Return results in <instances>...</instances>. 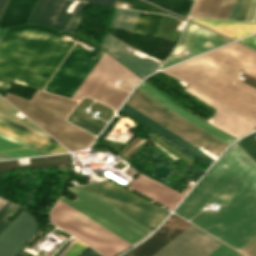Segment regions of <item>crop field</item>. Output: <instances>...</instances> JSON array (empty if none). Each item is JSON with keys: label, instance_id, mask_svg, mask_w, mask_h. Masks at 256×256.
Listing matches in <instances>:
<instances>
[{"label": "crop field", "instance_id": "8a807250", "mask_svg": "<svg viewBox=\"0 0 256 256\" xmlns=\"http://www.w3.org/2000/svg\"><path fill=\"white\" fill-rule=\"evenodd\" d=\"M208 201L223 206L219 212L203 211L191 223L237 250L256 236V162L237 143L204 175L175 213L190 219Z\"/></svg>", "mask_w": 256, "mask_h": 256}, {"label": "crop field", "instance_id": "ac0d7876", "mask_svg": "<svg viewBox=\"0 0 256 256\" xmlns=\"http://www.w3.org/2000/svg\"><path fill=\"white\" fill-rule=\"evenodd\" d=\"M240 68L256 77V52L232 43L162 72L189 82L185 91L216 109L214 124L241 137L256 125V95L228 83ZM235 84L256 94L238 80Z\"/></svg>", "mask_w": 256, "mask_h": 256}, {"label": "crop field", "instance_id": "34b2d1b8", "mask_svg": "<svg viewBox=\"0 0 256 256\" xmlns=\"http://www.w3.org/2000/svg\"><path fill=\"white\" fill-rule=\"evenodd\" d=\"M61 34L78 40L38 25L9 29L0 40V94L5 96L12 81L42 90L73 44Z\"/></svg>", "mask_w": 256, "mask_h": 256}, {"label": "crop field", "instance_id": "412701ff", "mask_svg": "<svg viewBox=\"0 0 256 256\" xmlns=\"http://www.w3.org/2000/svg\"><path fill=\"white\" fill-rule=\"evenodd\" d=\"M5 98L71 151L86 148L95 138L65 120L75 100L38 90L30 101L8 93Z\"/></svg>", "mask_w": 256, "mask_h": 256}, {"label": "crop field", "instance_id": "f4fd0767", "mask_svg": "<svg viewBox=\"0 0 256 256\" xmlns=\"http://www.w3.org/2000/svg\"><path fill=\"white\" fill-rule=\"evenodd\" d=\"M68 189L72 191L77 198L70 201L61 196L59 199L131 244L134 245L138 243L152 231L85 188L74 186Z\"/></svg>", "mask_w": 256, "mask_h": 256}, {"label": "crop field", "instance_id": "dd49c442", "mask_svg": "<svg viewBox=\"0 0 256 256\" xmlns=\"http://www.w3.org/2000/svg\"><path fill=\"white\" fill-rule=\"evenodd\" d=\"M50 219L105 256H115L133 246L118 238L80 212L58 199L50 210Z\"/></svg>", "mask_w": 256, "mask_h": 256}, {"label": "crop field", "instance_id": "e52e79f7", "mask_svg": "<svg viewBox=\"0 0 256 256\" xmlns=\"http://www.w3.org/2000/svg\"><path fill=\"white\" fill-rule=\"evenodd\" d=\"M125 103L166 127L194 146H204L207 150L217 156L226 146L223 142L167 110L137 88Z\"/></svg>", "mask_w": 256, "mask_h": 256}, {"label": "crop field", "instance_id": "d8731c3e", "mask_svg": "<svg viewBox=\"0 0 256 256\" xmlns=\"http://www.w3.org/2000/svg\"><path fill=\"white\" fill-rule=\"evenodd\" d=\"M78 41H83L95 49L89 52L79 44L74 45L46 86V91L71 98L88 73L103 55L104 52L91 43L83 39H79Z\"/></svg>", "mask_w": 256, "mask_h": 256}, {"label": "crop field", "instance_id": "5a996713", "mask_svg": "<svg viewBox=\"0 0 256 256\" xmlns=\"http://www.w3.org/2000/svg\"><path fill=\"white\" fill-rule=\"evenodd\" d=\"M85 188L152 230L169 214L107 180Z\"/></svg>", "mask_w": 256, "mask_h": 256}, {"label": "crop field", "instance_id": "3316defc", "mask_svg": "<svg viewBox=\"0 0 256 256\" xmlns=\"http://www.w3.org/2000/svg\"><path fill=\"white\" fill-rule=\"evenodd\" d=\"M45 0H38L27 23H34ZM71 4L70 0H53ZM46 0L35 23L45 24L73 33L88 4L80 2L72 14L65 13L68 4Z\"/></svg>", "mask_w": 256, "mask_h": 256}, {"label": "crop field", "instance_id": "28ad6ade", "mask_svg": "<svg viewBox=\"0 0 256 256\" xmlns=\"http://www.w3.org/2000/svg\"><path fill=\"white\" fill-rule=\"evenodd\" d=\"M221 243L191 225L153 256H205Z\"/></svg>", "mask_w": 256, "mask_h": 256}, {"label": "crop field", "instance_id": "d1516ede", "mask_svg": "<svg viewBox=\"0 0 256 256\" xmlns=\"http://www.w3.org/2000/svg\"><path fill=\"white\" fill-rule=\"evenodd\" d=\"M116 79L122 80L118 85L119 87L129 91H131L136 83L141 80L134 73L116 61L95 93L92 95V98L113 107L115 110L129 93L116 88L115 85L112 84Z\"/></svg>", "mask_w": 256, "mask_h": 256}, {"label": "crop field", "instance_id": "22f410ed", "mask_svg": "<svg viewBox=\"0 0 256 256\" xmlns=\"http://www.w3.org/2000/svg\"><path fill=\"white\" fill-rule=\"evenodd\" d=\"M227 42L230 41L188 22L180 42L170 56L177 55L183 50H188L190 54L182 58L168 59L160 69Z\"/></svg>", "mask_w": 256, "mask_h": 256}, {"label": "crop field", "instance_id": "cbeb9de0", "mask_svg": "<svg viewBox=\"0 0 256 256\" xmlns=\"http://www.w3.org/2000/svg\"><path fill=\"white\" fill-rule=\"evenodd\" d=\"M36 232L33 215L22 211L0 233V256H13Z\"/></svg>", "mask_w": 256, "mask_h": 256}, {"label": "crop field", "instance_id": "5142ce71", "mask_svg": "<svg viewBox=\"0 0 256 256\" xmlns=\"http://www.w3.org/2000/svg\"><path fill=\"white\" fill-rule=\"evenodd\" d=\"M190 225L187 221L171 215L151 237L124 256H152Z\"/></svg>", "mask_w": 256, "mask_h": 256}, {"label": "crop field", "instance_id": "d9b57169", "mask_svg": "<svg viewBox=\"0 0 256 256\" xmlns=\"http://www.w3.org/2000/svg\"><path fill=\"white\" fill-rule=\"evenodd\" d=\"M128 188L171 210L184 196L142 174L139 175Z\"/></svg>", "mask_w": 256, "mask_h": 256}, {"label": "crop field", "instance_id": "733c2abd", "mask_svg": "<svg viewBox=\"0 0 256 256\" xmlns=\"http://www.w3.org/2000/svg\"><path fill=\"white\" fill-rule=\"evenodd\" d=\"M127 45L128 44L107 33L101 47L106 49L143 78L158 68V63L147 58L139 59L138 57L124 50L123 48Z\"/></svg>", "mask_w": 256, "mask_h": 256}, {"label": "crop field", "instance_id": "4a817a6b", "mask_svg": "<svg viewBox=\"0 0 256 256\" xmlns=\"http://www.w3.org/2000/svg\"><path fill=\"white\" fill-rule=\"evenodd\" d=\"M140 90H142L144 93L152 97L154 100L162 104L167 109L171 110L172 112L176 113L177 115L181 116L182 118L186 119L187 121L191 122L192 124L198 126L199 128L203 129L204 131L208 132L209 134L213 135L214 137L218 138L219 140L230 143L232 138L228 137L227 135L221 133L220 131L214 129L213 127L209 126L208 124L202 122L201 120L195 118L188 112L184 111L168 99H166L164 96L156 92L154 89H152L148 84H146L144 81L137 87Z\"/></svg>", "mask_w": 256, "mask_h": 256}, {"label": "crop field", "instance_id": "bc2a9ffb", "mask_svg": "<svg viewBox=\"0 0 256 256\" xmlns=\"http://www.w3.org/2000/svg\"><path fill=\"white\" fill-rule=\"evenodd\" d=\"M121 110L125 111L129 115L133 116L137 120L141 121L145 125L149 126L150 128H152L156 132L160 133L161 135H163L164 137H166L170 141L174 142L178 146L182 147L183 149L187 150L188 152L192 153L193 155L197 156L198 158L202 159L203 161L207 162L208 164L211 165L212 162L214 161L211 158H209L207 155L202 153L198 148H196V147L192 146L191 144L187 143L183 139L179 138L175 134L171 133L167 129L163 128L162 126H160L156 122L152 121L148 117L144 116L140 112L136 111L132 107L128 106L127 104H124Z\"/></svg>", "mask_w": 256, "mask_h": 256}, {"label": "crop field", "instance_id": "214f88e0", "mask_svg": "<svg viewBox=\"0 0 256 256\" xmlns=\"http://www.w3.org/2000/svg\"><path fill=\"white\" fill-rule=\"evenodd\" d=\"M116 60L104 53L89 76L78 89L73 99L79 100L84 96H90L94 93L98 85L101 83L105 75L108 73Z\"/></svg>", "mask_w": 256, "mask_h": 256}, {"label": "crop field", "instance_id": "92a150f3", "mask_svg": "<svg viewBox=\"0 0 256 256\" xmlns=\"http://www.w3.org/2000/svg\"><path fill=\"white\" fill-rule=\"evenodd\" d=\"M192 20H195L205 26H208L234 39L256 32V23L240 22V21L209 20V19H199V18H192Z\"/></svg>", "mask_w": 256, "mask_h": 256}, {"label": "crop field", "instance_id": "dafd665d", "mask_svg": "<svg viewBox=\"0 0 256 256\" xmlns=\"http://www.w3.org/2000/svg\"><path fill=\"white\" fill-rule=\"evenodd\" d=\"M36 0H9L1 18L0 27L25 23Z\"/></svg>", "mask_w": 256, "mask_h": 256}, {"label": "crop field", "instance_id": "00972430", "mask_svg": "<svg viewBox=\"0 0 256 256\" xmlns=\"http://www.w3.org/2000/svg\"><path fill=\"white\" fill-rule=\"evenodd\" d=\"M0 132L52 153L66 152L61 146L0 122Z\"/></svg>", "mask_w": 256, "mask_h": 256}, {"label": "crop field", "instance_id": "a9b5d70f", "mask_svg": "<svg viewBox=\"0 0 256 256\" xmlns=\"http://www.w3.org/2000/svg\"><path fill=\"white\" fill-rule=\"evenodd\" d=\"M17 160L10 161H0V171L16 170L26 167H44L52 165H69L70 159L68 154L63 155H53V156H43L30 158V162L33 165H22L18 166Z\"/></svg>", "mask_w": 256, "mask_h": 256}, {"label": "crop field", "instance_id": "4177f3b9", "mask_svg": "<svg viewBox=\"0 0 256 256\" xmlns=\"http://www.w3.org/2000/svg\"><path fill=\"white\" fill-rule=\"evenodd\" d=\"M162 17L141 12L132 32L154 37Z\"/></svg>", "mask_w": 256, "mask_h": 256}, {"label": "crop field", "instance_id": "730fd06b", "mask_svg": "<svg viewBox=\"0 0 256 256\" xmlns=\"http://www.w3.org/2000/svg\"><path fill=\"white\" fill-rule=\"evenodd\" d=\"M223 0H196L190 16L216 18Z\"/></svg>", "mask_w": 256, "mask_h": 256}, {"label": "crop field", "instance_id": "eef30255", "mask_svg": "<svg viewBox=\"0 0 256 256\" xmlns=\"http://www.w3.org/2000/svg\"><path fill=\"white\" fill-rule=\"evenodd\" d=\"M139 13L117 8L110 27L131 32Z\"/></svg>", "mask_w": 256, "mask_h": 256}, {"label": "crop field", "instance_id": "ae1a2a85", "mask_svg": "<svg viewBox=\"0 0 256 256\" xmlns=\"http://www.w3.org/2000/svg\"><path fill=\"white\" fill-rule=\"evenodd\" d=\"M175 13L188 16L193 0H148Z\"/></svg>", "mask_w": 256, "mask_h": 256}, {"label": "crop field", "instance_id": "d3111659", "mask_svg": "<svg viewBox=\"0 0 256 256\" xmlns=\"http://www.w3.org/2000/svg\"><path fill=\"white\" fill-rule=\"evenodd\" d=\"M16 112H18L17 110H15L11 105H9L6 101H4L1 97H0V117H3L5 119H8L10 121H13L15 123H18L20 125L26 126L28 128H31L33 130H36L38 132H41L43 134H45L43 131H41L39 128H37L34 124H32L28 119H20L16 116H14L13 114H15Z\"/></svg>", "mask_w": 256, "mask_h": 256}, {"label": "crop field", "instance_id": "750c4746", "mask_svg": "<svg viewBox=\"0 0 256 256\" xmlns=\"http://www.w3.org/2000/svg\"><path fill=\"white\" fill-rule=\"evenodd\" d=\"M0 151H3L15 157L42 154L2 138H0Z\"/></svg>", "mask_w": 256, "mask_h": 256}, {"label": "crop field", "instance_id": "bd1437ed", "mask_svg": "<svg viewBox=\"0 0 256 256\" xmlns=\"http://www.w3.org/2000/svg\"><path fill=\"white\" fill-rule=\"evenodd\" d=\"M121 2H125L131 5L130 8L137 9V10H143V11H151V12H158V13H166L146 2L140 1V0H118ZM168 14V13H166Z\"/></svg>", "mask_w": 256, "mask_h": 256}, {"label": "crop field", "instance_id": "1d83c4d3", "mask_svg": "<svg viewBox=\"0 0 256 256\" xmlns=\"http://www.w3.org/2000/svg\"><path fill=\"white\" fill-rule=\"evenodd\" d=\"M18 208V206H15L10 203H6L1 209H0V232L9 224L6 220L12 215V213Z\"/></svg>", "mask_w": 256, "mask_h": 256}, {"label": "crop field", "instance_id": "120bbe31", "mask_svg": "<svg viewBox=\"0 0 256 256\" xmlns=\"http://www.w3.org/2000/svg\"><path fill=\"white\" fill-rule=\"evenodd\" d=\"M68 121L73 123V124H75V125H77V126H79V127H82V128H84L86 130H89V131H91V132H93L95 134H98L99 131L102 129V127H100V126H97V125L92 124L90 122L84 121V120L79 119L77 117H74L72 115H69Z\"/></svg>", "mask_w": 256, "mask_h": 256}, {"label": "crop field", "instance_id": "d32e631a", "mask_svg": "<svg viewBox=\"0 0 256 256\" xmlns=\"http://www.w3.org/2000/svg\"><path fill=\"white\" fill-rule=\"evenodd\" d=\"M207 256H243L240 253L234 251L230 247L226 246L225 244L219 245L216 249H214L211 253Z\"/></svg>", "mask_w": 256, "mask_h": 256}, {"label": "crop field", "instance_id": "5866460e", "mask_svg": "<svg viewBox=\"0 0 256 256\" xmlns=\"http://www.w3.org/2000/svg\"><path fill=\"white\" fill-rule=\"evenodd\" d=\"M240 143L256 158V132L242 138Z\"/></svg>", "mask_w": 256, "mask_h": 256}, {"label": "crop field", "instance_id": "028f5c9d", "mask_svg": "<svg viewBox=\"0 0 256 256\" xmlns=\"http://www.w3.org/2000/svg\"><path fill=\"white\" fill-rule=\"evenodd\" d=\"M80 242L77 240L62 256H79L88 247Z\"/></svg>", "mask_w": 256, "mask_h": 256}, {"label": "crop field", "instance_id": "e1f06a70", "mask_svg": "<svg viewBox=\"0 0 256 256\" xmlns=\"http://www.w3.org/2000/svg\"><path fill=\"white\" fill-rule=\"evenodd\" d=\"M234 0H224L217 18L227 19Z\"/></svg>", "mask_w": 256, "mask_h": 256}, {"label": "crop field", "instance_id": "0bd39190", "mask_svg": "<svg viewBox=\"0 0 256 256\" xmlns=\"http://www.w3.org/2000/svg\"><path fill=\"white\" fill-rule=\"evenodd\" d=\"M0 121H2V122H4V123H7V124H9V125L15 126V127H17V128H20V129H22V130H25V131H27V132H30V133H32V134H35V135H37V136H40V137H42V138H45V139H47V140H50V141H52V142H55L53 139H51L50 137H48V136H46V135H43V134H41V133H38V132L33 131V130H31V129H28V128H25V127H23V126H20V125H18V124H15V123L10 122V121H8V120H5V119H3V118H0ZM55 143H56V142H55Z\"/></svg>", "mask_w": 256, "mask_h": 256}, {"label": "crop field", "instance_id": "b80d0937", "mask_svg": "<svg viewBox=\"0 0 256 256\" xmlns=\"http://www.w3.org/2000/svg\"><path fill=\"white\" fill-rule=\"evenodd\" d=\"M241 250L251 256H256V237L247 243L243 248H241Z\"/></svg>", "mask_w": 256, "mask_h": 256}, {"label": "crop field", "instance_id": "c035e120", "mask_svg": "<svg viewBox=\"0 0 256 256\" xmlns=\"http://www.w3.org/2000/svg\"><path fill=\"white\" fill-rule=\"evenodd\" d=\"M252 0H243L236 19L244 20Z\"/></svg>", "mask_w": 256, "mask_h": 256}, {"label": "crop field", "instance_id": "c21b1889", "mask_svg": "<svg viewBox=\"0 0 256 256\" xmlns=\"http://www.w3.org/2000/svg\"><path fill=\"white\" fill-rule=\"evenodd\" d=\"M0 136L3 137V138L9 139V140H11V141H14V142H16V143H19V144H21V145H24V146H26V147H29V148H31V149L37 150V151H39V152H42V153H44V154H51L50 152H47V151L42 150V149H39V148H37V147H34V146H32V145H29V144L24 143V142H22V141H19V140H17V139L11 138V137L6 136V135H4V134H1V133H0Z\"/></svg>", "mask_w": 256, "mask_h": 256}, {"label": "crop field", "instance_id": "03da06ac", "mask_svg": "<svg viewBox=\"0 0 256 256\" xmlns=\"http://www.w3.org/2000/svg\"><path fill=\"white\" fill-rule=\"evenodd\" d=\"M241 2H242V0H235V3L233 5V8L231 10V13H230V16H229L228 19H235L236 18V15L238 13Z\"/></svg>", "mask_w": 256, "mask_h": 256}, {"label": "crop field", "instance_id": "b54c1fbb", "mask_svg": "<svg viewBox=\"0 0 256 256\" xmlns=\"http://www.w3.org/2000/svg\"><path fill=\"white\" fill-rule=\"evenodd\" d=\"M256 10V0H253L245 20H251ZM256 21V16L254 18Z\"/></svg>", "mask_w": 256, "mask_h": 256}, {"label": "crop field", "instance_id": "5d738f31", "mask_svg": "<svg viewBox=\"0 0 256 256\" xmlns=\"http://www.w3.org/2000/svg\"><path fill=\"white\" fill-rule=\"evenodd\" d=\"M242 42H244V43H246V44H248V45H250V46H252V47H254V48H256V34L255 35H253V36H250V37H248V38H245V39H243V40H241ZM241 42V43H242ZM243 43V44H244ZM245 44V45H246Z\"/></svg>", "mask_w": 256, "mask_h": 256}, {"label": "crop field", "instance_id": "d23c7cc5", "mask_svg": "<svg viewBox=\"0 0 256 256\" xmlns=\"http://www.w3.org/2000/svg\"><path fill=\"white\" fill-rule=\"evenodd\" d=\"M98 254L99 253L88 247L80 256H97Z\"/></svg>", "mask_w": 256, "mask_h": 256}, {"label": "crop field", "instance_id": "425ffa30", "mask_svg": "<svg viewBox=\"0 0 256 256\" xmlns=\"http://www.w3.org/2000/svg\"><path fill=\"white\" fill-rule=\"evenodd\" d=\"M84 1L113 5V3H114L115 0H84Z\"/></svg>", "mask_w": 256, "mask_h": 256}, {"label": "crop field", "instance_id": "25e5ab78", "mask_svg": "<svg viewBox=\"0 0 256 256\" xmlns=\"http://www.w3.org/2000/svg\"><path fill=\"white\" fill-rule=\"evenodd\" d=\"M25 248V246H23L14 256H21L25 251H23L22 249ZM31 253H27L25 252L22 256H30Z\"/></svg>", "mask_w": 256, "mask_h": 256}, {"label": "crop field", "instance_id": "73cf0c24", "mask_svg": "<svg viewBox=\"0 0 256 256\" xmlns=\"http://www.w3.org/2000/svg\"><path fill=\"white\" fill-rule=\"evenodd\" d=\"M7 2H8V0H0V16H1Z\"/></svg>", "mask_w": 256, "mask_h": 256}, {"label": "crop field", "instance_id": "89e229c0", "mask_svg": "<svg viewBox=\"0 0 256 256\" xmlns=\"http://www.w3.org/2000/svg\"><path fill=\"white\" fill-rule=\"evenodd\" d=\"M73 240H69L54 256H58Z\"/></svg>", "mask_w": 256, "mask_h": 256}, {"label": "crop field", "instance_id": "1f2cbd36", "mask_svg": "<svg viewBox=\"0 0 256 256\" xmlns=\"http://www.w3.org/2000/svg\"><path fill=\"white\" fill-rule=\"evenodd\" d=\"M13 156H10L8 154H5L3 152H0V159H6V158H12Z\"/></svg>", "mask_w": 256, "mask_h": 256}, {"label": "crop field", "instance_id": "dbb93151", "mask_svg": "<svg viewBox=\"0 0 256 256\" xmlns=\"http://www.w3.org/2000/svg\"><path fill=\"white\" fill-rule=\"evenodd\" d=\"M7 201L0 198V208L6 203Z\"/></svg>", "mask_w": 256, "mask_h": 256}, {"label": "crop field", "instance_id": "0fb4a251", "mask_svg": "<svg viewBox=\"0 0 256 256\" xmlns=\"http://www.w3.org/2000/svg\"><path fill=\"white\" fill-rule=\"evenodd\" d=\"M75 241L76 239L59 256H61Z\"/></svg>", "mask_w": 256, "mask_h": 256}, {"label": "crop field", "instance_id": "1d79db26", "mask_svg": "<svg viewBox=\"0 0 256 256\" xmlns=\"http://www.w3.org/2000/svg\"><path fill=\"white\" fill-rule=\"evenodd\" d=\"M98 256H102V255L99 254Z\"/></svg>", "mask_w": 256, "mask_h": 256}]
</instances>
